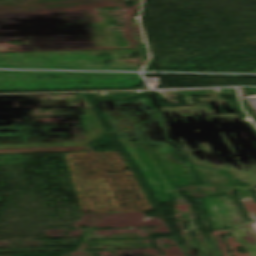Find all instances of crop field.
I'll use <instances>...</instances> for the list:
<instances>
[{
  "mask_svg": "<svg viewBox=\"0 0 256 256\" xmlns=\"http://www.w3.org/2000/svg\"><path fill=\"white\" fill-rule=\"evenodd\" d=\"M254 230L256 231V222L252 223Z\"/></svg>",
  "mask_w": 256,
  "mask_h": 256,
  "instance_id": "obj_2",
  "label": "crop field"
},
{
  "mask_svg": "<svg viewBox=\"0 0 256 256\" xmlns=\"http://www.w3.org/2000/svg\"><path fill=\"white\" fill-rule=\"evenodd\" d=\"M235 231L245 246L246 250L248 251L249 255L256 256V237L250 227L247 225L235 228Z\"/></svg>",
  "mask_w": 256,
  "mask_h": 256,
  "instance_id": "obj_1",
  "label": "crop field"
}]
</instances>
